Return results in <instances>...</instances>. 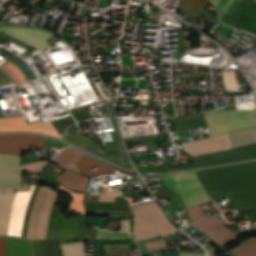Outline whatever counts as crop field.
<instances>
[{"label": "crop field", "instance_id": "30", "mask_svg": "<svg viewBox=\"0 0 256 256\" xmlns=\"http://www.w3.org/2000/svg\"><path fill=\"white\" fill-rule=\"evenodd\" d=\"M59 189L71 194L73 196V201L71 203L70 212L69 213H85L82 199L84 194H75L70 192L64 187H59Z\"/></svg>", "mask_w": 256, "mask_h": 256}, {"label": "crop field", "instance_id": "43", "mask_svg": "<svg viewBox=\"0 0 256 256\" xmlns=\"http://www.w3.org/2000/svg\"><path fill=\"white\" fill-rule=\"evenodd\" d=\"M208 253L210 256H215V252L212 249L208 250Z\"/></svg>", "mask_w": 256, "mask_h": 256}, {"label": "crop field", "instance_id": "23", "mask_svg": "<svg viewBox=\"0 0 256 256\" xmlns=\"http://www.w3.org/2000/svg\"><path fill=\"white\" fill-rule=\"evenodd\" d=\"M236 28H241L246 31L252 32L256 34V5L250 3L244 14L241 16L237 24Z\"/></svg>", "mask_w": 256, "mask_h": 256}, {"label": "crop field", "instance_id": "31", "mask_svg": "<svg viewBox=\"0 0 256 256\" xmlns=\"http://www.w3.org/2000/svg\"><path fill=\"white\" fill-rule=\"evenodd\" d=\"M231 252L236 256H256V244L251 241Z\"/></svg>", "mask_w": 256, "mask_h": 256}, {"label": "crop field", "instance_id": "36", "mask_svg": "<svg viewBox=\"0 0 256 256\" xmlns=\"http://www.w3.org/2000/svg\"><path fill=\"white\" fill-rule=\"evenodd\" d=\"M40 186H36L35 187V190H34V193H33V196L28 204V207H27V211H26V214H25V221H24V227H23V234H22V237L25 238L26 236V230H27V225H28V219H29V215H30V211H31V207H32V204L35 200V197L37 195V192H38V189H39Z\"/></svg>", "mask_w": 256, "mask_h": 256}, {"label": "crop field", "instance_id": "38", "mask_svg": "<svg viewBox=\"0 0 256 256\" xmlns=\"http://www.w3.org/2000/svg\"><path fill=\"white\" fill-rule=\"evenodd\" d=\"M180 253H205V252H180ZM155 256H178V250L155 255ZM180 256H205V254H180Z\"/></svg>", "mask_w": 256, "mask_h": 256}, {"label": "crop field", "instance_id": "29", "mask_svg": "<svg viewBox=\"0 0 256 256\" xmlns=\"http://www.w3.org/2000/svg\"><path fill=\"white\" fill-rule=\"evenodd\" d=\"M63 256H85L82 242L60 245Z\"/></svg>", "mask_w": 256, "mask_h": 256}, {"label": "crop field", "instance_id": "4", "mask_svg": "<svg viewBox=\"0 0 256 256\" xmlns=\"http://www.w3.org/2000/svg\"><path fill=\"white\" fill-rule=\"evenodd\" d=\"M163 181L182 197L187 209L211 201L195 172L164 177Z\"/></svg>", "mask_w": 256, "mask_h": 256}, {"label": "crop field", "instance_id": "5", "mask_svg": "<svg viewBox=\"0 0 256 256\" xmlns=\"http://www.w3.org/2000/svg\"><path fill=\"white\" fill-rule=\"evenodd\" d=\"M256 158V144L193 157L194 162L166 166L168 171L198 168Z\"/></svg>", "mask_w": 256, "mask_h": 256}, {"label": "crop field", "instance_id": "14", "mask_svg": "<svg viewBox=\"0 0 256 256\" xmlns=\"http://www.w3.org/2000/svg\"><path fill=\"white\" fill-rule=\"evenodd\" d=\"M218 9L220 21L234 27L250 2L247 0H210Z\"/></svg>", "mask_w": 256, "mask_h": 256}, {"label": "crop field", "instance_id": "27", "mask_svg": "<svg viewBox=\"0 0 256 256\" xmlns=\"http://www.w3.org/2000/svg\"><path fill=\"white\" fill-rule=\"evenodd\" d=\"M228 136L234 147L256 143V128L229 133Z\"/></svg>", "mask_w": 256, "mask_h": 256}, {"label": "crop field", "instance_id": "44", "mask_svg": "<svg viewBox=\"0 0 256 256\" xmlns=\"http://www.w3.org/2000/svg\"><path fill=\"white\" fill-rule=\"evenodd\" d=\"M255 89H256V85H254Z\"/></svg>", "mask_w": 256, "mask_h": 256}, {"label": "crop field", "instance_id": "13", "mask_svg": "<svg viewBox=\"0 0 256 256\" xmlns=\"http://www.w3.org/2000/svg\"><path fill=\"white\" fill-rule=\"evenodd\" d=\"M0 30L12 35L13 37L41 50L45 51L49 43L46 41L54 34L39 29L28 28H1Z\"/></svg>", "mask_w": 256, "mask_h": 256}, {"label": "crop field", "instance_id": "24", "mask_svg": "<svg viewBox=\"0 0 256 256\" xmlns=\"http://www.w3.org/2000/svg\"><path fill=\"white\" fill-rule=\"evenodd\" d=\"M82 156L83 154L73 149L65 148L53 160L72 171L79 172L74 163Z\"/></svg>", "mask_w": 256, "mask_h": 256}, {"label": "crop field", "instance_id": "16", "mask_svg": "<svg viewBox=\"0 0 256 256\" xmlns=\"http://www.w3.org/2000/svg\"><path fill=\"white\" fill-rule=\"evenodd\" d=\"M59 208H52L47 229L82 230V218L59 217Z\"/></svg>", "mask_w": 256, "mask_h": 256}, {"label": "crop field", "instance_id": "35", "mask_svg": "<svg viewBox=\"0 0 256 256\" xmlns=\"http://www.w3.org/2000/svg\"><path fill=\"white\" fill-rule=\"evenodd\" d=\"M107 255H119L129 251V245H103Z\"/></svg>", "mask_w": 256, "mask_h": 256}, {"label": "crop field", "instance_id": "12", "mask_svg": "<svg viewBox=\"0 0 256 256\" xmlns=\"http://www.w3.org/2000/svg\"><path fill=\"white\" fill-rule=\"evenodd\" d=\"M181 145L183 147V150H185L192 156L233 148L226 134L187 142Z\"/></svg>", "mask_w": 256, "mask_h": 256}, {"label": "crop field", "instance_id": "32", "mask_svg": "<svg viewBox=\"0 0 256 256\" xmlns=\"http://www.w3.org/2000/svg\"><path fill=\"white\" fill-rule=\"evenodd\" d=\"M96 238L99 239H130L131 235L127 232H106L98 229Z\"/></svg>", "mask_w": 256, "mask_h": 256}, {"label": "crop field", "instance_id": "42", "mask_svg": "<svg viewBox=\"0 0 256 256\" xmlns=\"http://www.w3.org/2000/svg\"><path fill=\"white\" fill-rule=\"evenodd\" d=\"M3 193L4 191H0V209H1L2 199H3Z\"/></svg>", "mask_w": 256, "mask_h": 256}, {"label": "crop field", "instance_id": "34", "mask_svg": "<svg viewBox=\"0 0 256 256\" xmlns=\"http://www.w3.org/2000/svg\"><path fill=\"white\" fill-rule=\"evenodd\" d=\"M222 77H223L224 87L226 88V90L239 91L236 80L231 71L229 72L223 71Z\"/></svg>", "mask_w": 256, "mask_h": 256}, {"label": "crop field", "instance_id": "33", "mask_svg": "<svg viewBox=\"0 0 256 256\" xmlns=\"http://www.w3.org/2000/svg\"><path fill=\"white\" fill-rule=\"evenodd\" d=\"M9 61L16 64L22 70V72L24 73L27 80H31V79L36 78L35 74L30 69V67L18 56H16V55L13 56Z\"/></svg>", "mask_w": 256, "mask_h": 256}, {"label": "crop field", "instance_id": "9", "mask_svg": "<svg viewBox=\"0 0 256 256\" xmlns=\"http://www.w3.org/2000/svg\"><path fill=\"white\" fill-rule=\"evenodd\" d=\"M193 224L198 229H200L202 232H204L209 237H211L216 243L221 241L225 237L229 236L230 234L234 233L228 227H226L224 224L221 223L218 216L201 219ZM243 234H245V233H243L240 230V231L230 235L226 239L222 240L218 244H220L222 247H224L225 245H227L230 242L234 241L235 239L239 238Z\"/></svg>", "mask_w": 256, "mask_h": 256}, {"label": "crop field", "instance_id": "8", "mask_svg": "<svg viewBox=\"0 0 256 256\" xmlns=\"http://www.w3.org/2000/svg\"><path fill=\"white\" fill-rule=\"evenodd\" d=\"M46 140L30 135H0V153L21 155L24 151L43 147Z\"/></svg>", "mask_w": 256, "mask_h": 256}, {"label": "crop field", "instance_id": "25", "mask_svg": "<svg viewBox=\"0 0 256 256\" xmlns=\"http://www.w3.org/2000/svg\"><path fill=\"white\" fill-rule=\"evenodd\" d=\"M75 164L77 165V167L80 169V171L82 173H84V174H86L90 177L110 173L112 171H116V170L106 166V167L100 168V169H98L95 172L90 174L86 168L92 167V166H95V165L100 167V166H103L104 164H102V163H100V162H98V161H96L92 158H89L85 155L80 160H78Z\"/></svg>", "mask_w": 256, "mask_h": 256}, {"label": "crop field", "instance_id": "40", "mask_svg": "<svg viewBox=\"0 0 256 256\" xmlns=\"http://www.w3.org/2000/svg\"><path fill=\"white\" fill-rule=\"evenodd\" d=\"M0 256H6L5 236H0Z\"/></svg>", "mask_w": 256, "mask_h": 256}, {"label": "crop field", "instance_id": "41", "mask_svg": "<svg viewBox=\"0 0 256 256\" xmlns=\"http://www.w3.org/2000/svg\"><path fill=\"white\" fill-rule=\"evenodd\" d=\"M6 84H9V80H8L7 76L0 71V86L6 85Z\"/></svg>", "mask_w": 256, "mask_h": 256}, {"label": "crop field", "instance_id": "6", "mask_svg": "<svg viewBox=\"0 0 256 256\" xmlns=\"http://www.w3.org/2000/svg\"><path fill=\"white\" fill-rule=\"evenodd\" d=\"M19 157L15 155L0 154V190L16 189L21 187V172ZM50 158L20 166L21 169L37 172Z\"/></svg>", "mask_w": 256, "mask_h": 256}, {"label": "crop field", "instance_id": "26", "mask_svg": "<svg viewBox=\"0 0 256 256\" xmlns=\"http://www.w3.org/2000/svg\"><path fill=\"white\" fill-rule=\"evenodd\" d=\"M56 180L73 190H78L83 192L88 179L81 175H77V174L66 171L63 175H61Z\"/></svg>", "mask_w": 256, "mask_h": 256}, {"label": "crop field", "instance_id": "3", "mask_svg": "<svg viewBox=\"0 0 256 256\" xmlns=\"http://www.w3.org/2000/svg\"><path fill=\"white\" fill-rule=\"evenodd\" d=\"M209 129V137L256 127L255 110L213 111L203 113Z\"/></svg>", "mask_w": 256, "mask_h": 256}, {"label": "crop field", "instance_id": "45", "mask_svg": "<svg viewBox=\"0 0 256 256\" xmlns=\"http://www.w3.org/2000/svg\"><path fill=\"white\" fill-rule=\"evenodd\" d=\"M253 1H255V2H256V0H253Z\"/></svg>", "mask_w": 256, "mask_h": 256}, {"label": "crop field", "instance_id": "20", "mask_svg": "<svg viewBox=\"0 0 256 256\" xmlns=\"http://www.w3.org/2000/svg\"><path fill=\"white\" fill-rule=\"evenodd\" d=\"M172 119L177 132L207 126V122L202 113H195L188 116Z\"/></svg>", "mask_w": 256, "mask_h": 256}, {"label": "crop field", "instance_id": "22", "mask_svg": "<svg viewBox=\"0 0 256 256\" xmlns=\"http://www.w3.org/2000/svg\"><path fill=\"white\" fill-rule=\"evenodd\" d=\"M14 196L15 193H13L12 190L5 191L4 193V199L0 214V235H6L7 233Z\"/></svg>", "mask_w": 256, "mask_h": 256}, {"label": "crop field", "instance_id": "11", "mask_svg": "<svg viewBox=\"0 0 256 256\" xmlns=\"http://www.w3.org/2000/svg\"><path fill=\"white\" fill-rule=\"evenodd\" d=\"M66 140H69L87 150H90L92 152H95L109 160H112L116 163L122 164V165H126L125 161L122 158L121 155V151H120V147H114L108 150H104L102 151L101 148L98 146L97 143H95L94 141L90 140L89 138L75 133L73 131H70L67 129V131L64 133L63 137Z\"/></svg>", "mask_w": 256, "mask_h": 256}, {"label": "crop field", "instance_id": "19", "mask_svg": "<svg viewBox=\"0 0 256 256\" xmlns=\"http://www.w3.org/2000/svg\"><path fill=\"white\" fill-rule=\"evenodd\" d=\"M7 256H32L30 240L6 236Z\"/></svg>", "mask_w": 256, "mask_h": 256}, {"label": "crop field", "instance_id": "39", "mask_svg": "<svg viewBox=\"0 0 256 256\" xmlns=\"http://www.w3.org/2000/svg\"><path fill=\"white\" fill-rule=\"evenodd\" d=\"M96 231L97 229L83 231L82 234L79 236L78 240L81 241V240L93 239L96 236Z\"/></svg>", "mask_w": 256, "mask_h": 256}, {"label": "crop field", "instance_id": "28", "mask_svg": "<svg viewBox=\"0 0 256 256\" xmlns=\"http://www.w3.org/2000/svg\"><path fill=\"white\" fill-rule=\"evenodd\" d=\"M209 3L207 0H181L178 8L188 15L197 16L198 13Z\"/></svg>", "mask_w": 256, "mask_h": 256}, {"label": "crop field", "instance_id": "18", "mask_svg": "<svg viewBox=\"0 0 256 256\" xmlns=\"http://www.w3.org/2000/svg\"><path fill=\"white\" fill-rule=\"evenodd\" d=\"M87 213H123L131 214L124 203L85 202Z\"/></svg>", "mask_w": 256, "mask_h": 256}, {"label": "crop field", "instance_id": "15", "mask_svg": "<svg viewBox=\"0 0 256 256\" xmlns=\"http://www.w3.org/2000/svg\"><path fill=\"white\" fill-rule=\"evenodd\" d=\"M34 187L29 192L16 193L7 235L21 237L24 214Z\"/></svg>", "mask_w": 256, "mask_h": 256}, {"label": "crop field", "instance_id": "17", "mask_svg": "<svg viewBox=\"0 0 256 256\" xmlns=\"http://www.w3.org/2000/svg\"><path fill=\"white\" fill-rule=\"evenodd\" d=\"M56 194H57L56 192L50 189L47 192L46 199L44 201V204L39 216L35 239H45V230L48 223L52 205L56 198Z\"/></svg>", "mask_w": 256, "mask_h": 256}, {"label": "crop field", "instance_id": "1", "mask_svg": "<svg viewBox=\"0 0 256 256\" xmlns=\"http://www.w3.org/2000/svg\"><path fill=\"white\" fill-rule=\"evenodd\" d=\"M213 200L256 191V162L197 171ZM238 212L256 209V192L229 196Z\"/></svg>", "mask_w": 256, "mask_h": 256}, {"label": "crop field", "instance_id": "2", "mask_svg": "<svg viewBox=\"0 0 256 256\" xmlns=\"http://www.w3.org/2000/svg\"><path fill=\"white\" fill-rule=\"evenodd\" d=\"M133 235L136 240L166 236L178 230L155 202L132 206Z\"/></svg>", "mask_w": 256, "mask_h": 256}, {"label": "crop field", "instance_id": "10", "mask_svg": "<svg viewBox=\"0 0 256 256\" xmlns=\"http://www.w3.org/2000/svg\"><path fill=\"white\" fill-rule=\"evenodd\" d=\"M7 131L39 132L57 137L60 136L51 122L43 124V122L39 120L27 125L23 117L0 118V132Z\"/></svg>", "mask_w": 256, "mask_h": 256}, {"label": "crop field", "instance_id": "37", "mask_svg": "<svg viewBox=\"0 0 256 256\" xmlns=\"http://www.w3.org/2000/svg\"><path fill=\"white\" fill-rule=\"evenodd\" d=\"M4 65L8 66L14 72V74L18 78L19 82L26 81V79L23 76L22 72L20 71V69L16 65L12 64L9 61H7Z\"/></svg>", "mask_w": 256, "mask_h": 256}, {"label": "crop field", "instance_id": "7", "mask_svg": "<svg viewBox=\"0 0 256 256\" xmlns=\"http://www.w3.org/2000/svg\"><path fill=\"white\" fill-rule=\"evenodd\" d=\"M81 231L47 230L46 239H56L57 243L73 241ZM55 240H31L33 256H60Z\"/></svg>", "mask_w": 256, "mask_h": 256}, {"label": "crop field", "instance_id": "21", "mask_svg": "<svg viewBox=\"0 0 256 256\" xmlns=\"http://www.w3.org/2000/svg\"><path fill=\"white\" fill-rule=\"evenodd\" d=\"M47 190H48L47 187H42V186L39 189L38 195L36 197V200L34 202L32 212H31V215H30L26 238L34 239V237H35L37 220H38V216H39V213H40L42 203L44 201L43 196L46 195Z\"/></svg>", "mask_w": 256, "mask_h": 256}]
</instances>
